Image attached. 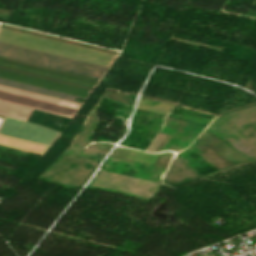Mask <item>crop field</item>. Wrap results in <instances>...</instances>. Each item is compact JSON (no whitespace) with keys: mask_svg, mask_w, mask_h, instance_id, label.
<instances>
[{"mask_svg":"<svg viewBox=\"0 0 256 256\" xmlns=\"http://www.w3.org/2000/svg\"><path fill=\"white\" fill-rule=\"evenodd\" d=\"M0 66L93 88L97 79L0 57ZM0 78L85 98L90 89L0 68Z\"/></svg>","mask_w":256,"mask_h":256,"instance_id":"obj_1","label":"crop field"},{"mask_svg":"<svg viewBox=\"0 0 256 256\" xmlns=\"http://www.w3.org/2000/svg\"><path fill=\"white\" fill-rule=\"evenodd\" d=\"M79 104L0 85V115L27 120L33 109L71 118ZM80 107V106H79Z\"/></svg>","mask_w":256,"mask_h":256,"instance_id":"obj_2","label":"crop field"},{"mask_svg":"<svg viewBox=\"0 0 256 256\" xmlns=\"http://www.w3.org/2000/svg\"><path fill=\"white\" fill-rule=\"evenodd\" d=\"M0 41L109 67L115 55L0 27Z\"/></svg>","mask_w":256,"mask_h":256,"instance_id":"obj_3","label":"crop field"},{"mask_svg":"<svg viewBox=\"0 0 256 256\" xmlns=\"http://www.w3.org/2000/svg\"><path fill=\"white\" fill-rule=\"evenodd\" d=\"M0 56L100 79L106 67L0 42Z\"/></svg>","mask_w":256,"mask_h":256,"instance_id":"obj_4","label":"crop field"},{"mask_svg":"<svg viewBox=\"0 0 256 256\" xmlns=\"http://www.w3.org/2000/svg\"><path fill=\"white\" fill-rule=\"evenodd\" d=\"M58 134L59 132L23 121L15 137L50 146Z\"/></svg>","mask_w":256,"mask_h":256,"instance_id":"obj_5","label":"crop field"},{"mask_svg":"<svg viewBox=\"0 0 256 256\" xmlns=\"http://www.w3.org/2000/svg\"><path fill=\"white\" fill-rule=\"evenodd\" d=\"M0 84L81 104L80 102L73 101L75 96H71L67 94H62V93L41 89V88H37V87L25 85V84H20V83H16V82L4 80V79H0Z\"/></svg>","mask_w":256,"mask_h":256,"instance_id":"obj_6","label":"crop field"},{"mask_svg":"<svg viewBox=\"0 0 256 256\" xmlns=\"http://www.w3.org/2000/svg\"><path fill=\"white\" fill-rule=\"evenodd\" d=\"M0 144L43 154V152L48 148L47 146L7 137L0 135Z\"/></svg>","mask_w":256,"mask_h":256,"instance_id":"obj_7","label":"crop field"}]
</instances>
